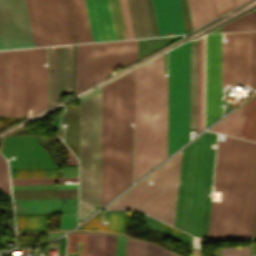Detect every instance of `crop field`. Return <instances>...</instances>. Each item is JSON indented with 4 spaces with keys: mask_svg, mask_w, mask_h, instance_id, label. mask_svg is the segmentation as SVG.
<instances>
[{
    "mask_svg": "<svg viewBox=\"0 0 256 256\" xmlns=\"http://www.w3.org/2000/svg\"><path fill=\"white\" fill-rule=\"evenodd\" d=\"M15 214L77 213V199L16 201Z\"/></svg>",
    "mask_w": 256,
    "mask_h": 256,
    "instance_id": "crop-field-19",
    "label": "crop field"
},
{
    "mask_svg": "<svg viewBox=\"0 0 256 256\" xmlns=\"http://www.w3.org/2000/svg\"><path fill=\"white\" fill-rule=\"evenodd\" d=\"M87 234L70 233L67 240L66 252H75L76 241L82 242L81 256H85Z\"/></svg>",
    "mask_w": 256,
    "mask_h": 256,
    "instance_id": "crop-field-30",
    "label": "crop field"
},
{
    "mask_svg": "<svg viewBox=\"0 0 256 256\" xmlns=\"http://www.w3.org/2000/svg\"><path fill=\"white\" fill-rule=\"evenodd\" d=\"M256 143L218 141L208 237H254Z\"/></svg>",
    "mask_w": 256,
    "mask_h": 256,
    "instance_id": "crop-field-1",
    "label": "crop field"
},
{
    "mask_svg": "<svg viewBox=\"0 0 256 256\" xmlns=\"http://www.w3.org/2000/svg\"><path fill=\"white\" fill-rule=\"evenodd\" d=\"M167 95L163 55L135 68L134 180L167 157Z\"/></svg>",
    "mask_w": 256,
    "mask_h": 256,
    "instance_id": "crop-field-3",
    "label": "crop field"
},
{
    "mask_svg": "<svg viewBox=\"0 0 256 256\" xmlns=\"http://www.w3.org/2000/svg\"><path fill=\"white\" fill-rule=\"evenodd\" d=\"M252 87L256 88V32H251Z\"/></svg>",
    "mask_w": 256,
    "mask_h": 256,
    "instance_id": "crop-field-36",
    "label": "crop field"
},
{
    "mask_svg": "<svg viewBox=\"0 0 256 256\" xmlns=\"http://www.w3.org/2000/svg\"><path fill=\"white\" fill-rule=\"evenodd\" d=\"M77 214H62L59 230L69 229L76 225Z\"/></svg>",
    "mask_w": 256,
    "mask_h": 256,
    "instance_id": "crop-field-39",
    "label": "crop field"
},
{
    "mask_svg": "<svg viewBox=\"0 0 256 256\" xmlns=\"http://www.w3.org/2000/svg\"><path fill=\"white\" fill-rule=\"evenodd\" d=\"M32 46L25 0H0V49Z\"/></svg>",
    "mask_w": 256,
    "mask_h": 256,
    "instance_id": "crop-field-10",
    "label": "crop field"
},
{
    "mask_svg": "<svg viewBox=\"0 0 256 256\" xmlns=\"http://www.w3.org/2000/svg\"><path fill=\"white\" fill-rule=\"evenodd\" d=\"M93 41L116 39L108 0H85Z\"/></svg>",
    "mask_w": 256,
    "mask_h": 256,
    "instance_id": "crop-field-16",
    "label": "crop field"
},
{
    "mask_svg": "<svg viewBox=\"0 0 256 256\" xmlns=\"http://www.w3.org/2000/svg\"><path fill=\"white\" fill-rule=\"evenodd\" d=\"M75 45L48 47V107L73 91Z\"/></svg>",
    "mask_w": 256,
    "mask_h": 256,
    "instance_id": "crop-field-12",
    "label": "crop field"
},
{
    "mask_svg": "<svg viewBox=\"0 0 256 256\" xmlns=\"http://www.w3.org/2000/svg\"><path fill=\"white\" fill-rule=\"evenodd\" d=\"M203 108H204V38H202V54H201V130H203Z\"/></svg>",
    "mask_w": 256,
    "mask_h": 256,
    "instance_id": "crop-field-37",
    "label": "crop field"
},
{
    "mask_svg": "<svg viewBox=\"0 0 256 256\" xmlns=\"http://www.w3.org/2000/svg\"><path fill=\"white\" fill-rule=\"evenodd\" d=\"M221 116V34L207 36L206 126Z\"/></svg>",
    "mask_w": 256,
    "mask_h": 256,
    "instance_id": "crop-field-13",
    "label": "crop field"
},
{
    "mask_svg": "<svg viewBox=\"0 0 256 256\" xmlns=\"http://www.w3.org/2000/svg\"><path fill=\"white\" fill-rule=\"evenodd\" d=\"M57 178L11 179L12 185L56 184Z\"/></svg>",
    "mask_w": 256,
    "mask_h": 256,
    "instance_id": "crop-field-33",
    "label": "crop field"
},
{
    "mask_svg": "<svg viewBox=\"0 0 256 256\" xmlns=\"http://www.w3.org/2000/svg\"><path fill=\"white\" fill-rule=\"evenodd\" d=\"M182 151L110 204V209H136L173 226Z\"/></svg>",
    "mask_w": 256,
    "mask_h": 256,
    "instance_id": "crop-field-6",
    "label": "crop field"
},
{
    "mask_svg": "<svg viewBox=\"0 0 256 256\" xmlns=\"http://www.w3.org/2000/svg\"><path fill=\"white\" fill-rule=\"evenodd\" d=\"M255 237H256V233H255Z\"/></svg>",
    "mask_w": 256,
    "mask_h": 256,
    "instance_id": "crop-field-44",
    "label": "crop field"
},
{
    "mask_svg": "<svg viewBox=\"0 0 256 256\" xmlns=\"http://www.w3.org/2000/svg\"><path fill=\"white\" fill-rule=\"evenodd\" d=\"M35 46L57 44L48 0H26Z\"/></svg>",
    "mask_w": 256,
    "mask_h": 256,
    "instance_id": "crop-field-15",
    "label": "crop field"
},
{
    "mask_svg": "<svg viewBox=\"0 0 256 256\" xmlns=\"http://www.w3.org/2000/svg\"><path fill=\"white\" fill-rule=\"evenodd\" d=\"M171 256H176V255L171 254Z\"/></svg>",
    "mask_w": 256,
    "mask_h": 256,
    "instance_id": "crop-field-43",
    "label": "crop field"
},
{
    "mask_svg": "<svg viewBox=\"0 0 256 256\" xmlns=\"http://www.w3.org/2000/svg\"><path fill=\"white\" fill-rule=\"evenodd\" d=\"M0 115H9V51L0 52Z\"/></svg>",
    "mask_w": 256,
    "mask_h": 256,
    "instance_id": "crop-field-23",
    "label": "crop field"
},
{
    "mask_svg": "<svg viewBox=\"0 0 256 256\" xmlns=\"http://www.w3.org/2000/svg\"><path fill=\"white\" fill-rule=\"evenodd\" d=\"M128 38H134L126 0H120Z\"/></svg>",
    "mask_w": 256,
    "mask_h": 256,
    "instance_id": "crop-field-38",
    "label": "crop field"
},
{
    "mask_svg": "<svg viewBox=\"0 0 256 256\" xmlns=\"http://www.w3.org/2000/svg\"><path fill=\"white\" fill-rule=\"evenodd\" d=\"M146 256H170V252L150 243H147Z\"/></svg>",
    "mask_w": 256,
    "mask_h": 256,
    "instance_id": "crop-field-40",
    "label": "crop field"
},
{
    "mask_svg": "<svg viewBox=\"0 0 256 256\" xmlns=\"http://www.w3.org/2000/svg\"><path fill=\"white\" fill-rule=\"evenodd\" d=\"M102 86L101 205L131 183L134 70Z\"/></svg>",
    "mask_w": 256,
    "mask_h": 256,
    "instance_id": "crop-field-2",
    "label": "crop field"
},
{
    "mask_svg": "<svg viewBox=\"0 0 256 256\" xmlns=\"http://www.w3.org/2000/svg\"><path fill=\"white\" fill-rule=\"evenodd\" d=\"M222 43V87L237 80L250 86V32L224 34Z\"/></svg>",
    "mask_w": 256,
    "mask_h": 256,
    "instance_id": "crop-field-11",
    "label": "crop field"
},
{
    "mask_svg": "<svg viewBox=\"0 0 256 256\" xmlns=\"http://www.w3.org/2000/svg\"><path fill=\"white\" fill-rule=\"evenodd\" d=\"M77 43L92 41L83 0H69Z\"/></svg>",
    "mask_w": 256,
    "mask_h": 256,
    "instance_id": "crop-field-22",
    "label": "crop field"
},
{
    "mask_svg": "<svg viewBox=\"0 0 256 256\" xmlns=\"http://www.w3.org/2000/svg\"><path fill=\"white\" fill-rule=\"evenodd\" d=\"M146 243L127 238L126 256H145Z\"/></svg>",
    "mask_w": 256,
    "mask_h": 256,
    "instance_id": "crop-field-31",
    "label": "crop field"
},
{
    "mask_svg": "<svg viewBox=\"0 0 256 256\" xmlns=\"http://www.w3.org/2000/svg\"><path fill=\"white\" fill-rule=\"evenodd\" d=\"M105 235L88 234L86 256H103Z\"/></svg>",
    "mask_w": 256,
    "mask_h": 256,
    "instance_id": "crop-field-29",
    "label": "crop field"
},
{
    "mask_svg": "<svg viewBox=\"0 0 256 256\" xmlns=\"http://www.w3.org/2000/svg\"><path fill=\"white\" fill-rule=\"evenodd\" d=\"M58 44L75 43L68 0H49Z\"/></svg>",
    "mask_w": 256,
    "mask_h": 256,
    "instance_id": "crop-field-20",
    "label": "crop field"
},
{
    "mask_svg": "<svg viewBox=\"0 0 256 256\" xmlns=\"http://www.w3.org/2000/svg\"><path fill=\"white\" fill-rule=\"evenodd\" d=\"M56 139L59 141V143L63 146V148L66 150L69 156L68 164L67 165H72V164H77V160L75 156L71 153V151L60 141L58 136H55Z\"/></svg>",
    "mask_w": 256,
    "mask_h": 256,
    "instance_id": "crop-field-41",
    "label": "crop field"
},
{
    "mask_svg": "<svg viewBox=\"0 0 256 256\" xmlns=\"http://www.w3.org/2000/svg\"><path fill=\"white\" fill-rule=\"evenodd\" d=\"M64 180H71V182H73V181H77V177L60 178L59 184H64Z\"/></svg>",
    "mask_w": 256,
    "mask_h": 256,
    "instance_id": "crop-field-42",
    "label": "crop field"
},
{
    "mask_svg": "<svg viewBox=\"0 0 256 256\" xmlns=\"http://www.w3.org/2000/svg\"><path fill=\"white\" fill-rule=\"evenodd\" d=\"M101 87L80 98L79 222L100 207Z\"/></svg>",
    "mask_w": 256,
    "mask_h": 256,
    "instance_id": "crop-field-5",
    "label": "crop field"
},
{
    "mask_svg": "<svg viewBox=\"0 0 256 256\" xmlns=\"http://www.w3.org/2000/svg\"><path fill=\"white\" fill-rule=\"evenodd\" d=\"M241 138L256 141V96L245 103Z\"/></svg>",
    "mask_w": 256,
    "mask_h": 256,
    "instance_id": "crop-field-25",
    "label": "crop field"
},
{
    "mask_svg": "<svg viewBox=\"0 0 256 256\" xmlns=\"http://www.w3.org/2000/svg\"><path fill=\"white\" fill-rule=\"evenodd\" d=\"M248 0H231L233 9ZM230 0H215L217 15L232 10ZM194 29L217 18L214 0H188Z\"/></svg>",
    "mask_w": 256,
    "mask_h": 256,
    "instance_id": "crop-field-18",
    "label": "crop field"
},
{
    "mask_svg": "<svg viewBox=\"0 0 256 256\" xmlns=\"http://www.w3.org/2000/svg\"><path fill=\"white\" fill-rule=\"evenodd\" d=\"M190 42L180 46L179 147L189 141ZM179 47L169 52L168 155L178 149Z\"/></svg>",
    "mask_w": 256,
    "mask_h": 256,
    "instance_id": "crop-field-8",
    "label": "crop field"
},
{
    "mask_svg": "<svg viewBox=\"0 0 256 256\" xmlns=\"http://www.w3.org/2000/svg\"><path fill=\"white\" fill-rule=\"evenodd\" d=\"M200 53L201 38L198 39L197 133L200 132Z\"/></svg>",
    "mask_w": 256,
    "mask_h": 256,
    "instance_id": "crop-field-35",
    "label": "crop field"
},
{
    "mask_svg": "<svg viewBox=\"0 0 256 256\" xmlns=\"http://www.w3.org/2000/svg\"><path fill=\"white\" fill-rule=\"evenodd\" d=\"M251 245L221 249L220 256L250 255Z\"/></svg>",
    "mask_w": 256,
    "mask_h": 256,
    "instance_id": "crop-field-34",
    "label": "crop field"
},
{
    "mask_svg": "<svg viewBox=\"0 0 256 256\" xmlns=\"http://www.w3.org/2000/svg\"><path fill=\"white\" fill-rule=\"evenodd\" d=\"M2 154L16 159L9 162L10 169L54 168L46 151L31 136L7 137Z\"/></svg>",
    "mask_w": 256,
    "mask_h": 256,
    "instance_id": "crop-field-14",
    "label": "crop field"
},
{
    "mask_svg": "<svg viewBox=\"0 0 256 256\" xmlns=\"http://www.w3.org/2000/svg\"><path fill=\"white\" fill-rule=\"evenodd\" d=\"M109 3H110L113 23L115 27L116 37L117 39H124L123 32H125V27H124L119 0H109ZM125 36H126V32H125Z\"/></svg>",
    "mask_w": 256,
    "mask_h": 256,
    "instance_id": "crop-field-28",
    "label": "crop field"
},
{
    "mask_svg": "<svg viewBox=\"0 0 256 256\" xmlns=\"http://www.w3.org/2000/svg\"><path fill=\"white\" fill-rule=\"evenodd\" d=\"M216 134L205 132L183 149L174 226L207 237Z\"/></svg>",
    "mask_w": 256,
    "mask_h": 256,
    "instance_id": "crop-field-4",
    "label": "crop field"
},
{
    "mask_svg": "<svg viewBox=\"0 0 256 256\" xmlns=\"http://www.w3.org/2000/svg\"><path fill=\"white\" fill-rule=\"evenodd\" d=\"M197 43V41H191ZM197 44H191L190 125L196 126ZM190 128L196 129V127Z\"/></svg>",
    "mask_w": 256,
    "mask_h": 256,
    "instance_id": "crop-field-26",
    "label": "crop field"
},
{
    "mask_svg": "<svg viewBox=\"0 0 256 256\" xmlns=\"http://www.w3.org/2000/svg\"><path fill=\"white\" fill-rule=\"evenodd\" d=\"M134 36H153L145 0H127Z\"/></svg>",
    "mask_w": 256,
    "mask_h": 256,
    "instance_id": "crop-field-21",
    "label": "crop field"
},
{
    "mask_svg": "<svg viewBox=\"0 0 256 256\" xmlns=\"http://www.w3.org/2000/svg\"><path fill=\"white\" fill-rule=\"evenodd\" d=\"M137 59V40L77 45L75 92Z\"/></svg>",
    "mask_w": 256,
    "mask_h": 256,
    "instance_id": "crop-field-9",
    "label": "crop field"
},
{
    "mask_svg": "<svg viewBox=\"0 0 256 256\" xmlns=\"http://www.w3.org/2000/svg\"><path fill=\"white\" fill-rule=\"evenodd\" d=\"M256 30V12H248L222 26V32Z\"/></svg>",
    "mask_w": 256,
    "mask_h": 256,
    "instance_id": "crop-field-27",
    "label": "crop field"
},
{
    "mask_svg": "<svg viewBox=\"0 0 256 256\" xmlns=\"http://www.w3.org/2000/svg\"><path fill=\"white\" fill-rule=\"evenodd\" d=\"M243 107L244 105L232 112L210 130L240 138Z\"/></svg>",
    "mask_w": 256,
    "mask_h": 256,
    "instance_id": "crop-field-24",
    "label": "crop field"
},
{
    "mask_svg": "<svg viewBox=\"0 0 256 256\" xmlns=\"http://www.w3.org/2000/svg\"><path fill=\"white\" fill-rule=\"evenodd\" d=\"M45 48L23 49L22 115L47 107ZM22 50L10 51V115H21Z\"/></svg>",
    "mask_w": 256,
    "mask_h": 256,
    "instance_id": "crop-field-7",
    "label": "crop field"
},
{
    "mask_svg": "<svg viewBox=\"0 0 256 256\" xmlns=\"http://www.w3.org/2000/svg\"><path fill=\"white\" fill-rule=\"evenodd\" d=\"M160 36L186 33L179 0H153Z\"/></svg>",
    "mask_w": 256,
    "mask_h": 256,
    "instance_id": "crop-field-17",
    "label": "crop field"
},
{
    "mask_svg": "<svg viewBox=\"0 0 256 256\" xmlns=\"http://www.w3.org/2000/svg\"><path fill=\"white\" fill-rule=\"evenodd\" d=\"M0 189L10 195L9 176L6 160L0 155Z\"/></svg>",
    "mask_w": 256,
    "mask_h": 256,
    "instance_id": "crop-field-32",
    "label": "crop field"
}]
</instances>
